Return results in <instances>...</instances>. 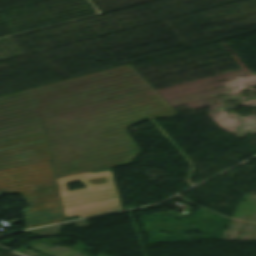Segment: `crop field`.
Here are the masks:
<instances>
[{
	"mask_svg": "<svg viewBox=\"0 0 256 256\" xmlns=\"http://www.w3.org/2000/svg\"><path fill=\"white\" fill-rule=\"evenodd\" d=\"M66 221L69 217L81 218L121 211L113 171L82 173L56 179ZM81 181L87 188L68 192L66 183Z\"/></svg>",
	"mask_w": 256,
	"mask_h": 256,
	"instance_id": "1",
	"label": "crop field"
},
{
	"mask_svg": "<svg viewBox=\"0 0 256 256\" xmlns=\"http://www.w3.org/2000/svg\"><path fill=\"white\" fill-rule=\"evenodd\" d=\"M49 160L51 158L45 133L0 142V169Z\"/></svg>",
	"mask_w": 256,
	"mask_h": 256,
	"instance_id": "2",
	"label": "crop field"
},
{
	"mask_svg": "<svg viewBox=\"0 0 256 256\" xmlns=\"http://www.w3.org/2000/svg\"><path fill=\"white\" fill-rule=\"evenodd\" d=\"M19 97V96H18ZM15 98V97H14ZM11 99V98H10ZM7 100V99H6ZM3 101V100H2ZM22 107V106H21ZM18 108V107H17ZM14 109V108H13ZM10 110V109H9ZM6 111V110H5ZM39 117V116H38ZM35 118V117H34ZM31 119V118H30ZM27 120V119H26ZM37 120V119H36ZM23 121V120H22ZM19 122V121H18ZM15 123V122H14ZM11 124V123H10Z\"/></svg>",
	"mask_w": 256,
	"mask_h": 256,
	"instance_id": "3",
	"label": "crop field"
},
{
	"mask_svg": "<svg viewBox=\"0 0 256 256\" xmlns=\"http://www.w3.org/2000/svg\"><path fill=\"white\" fill-rule=\"evenodd\" d=\"M139 80V79H138ZM135 81V80H134Z\"/></svg>",
	"mask_w": 256,
	"mask_h": 256,
	"instance_id": "4",
	"label": "crop field"
}]
</instances>
